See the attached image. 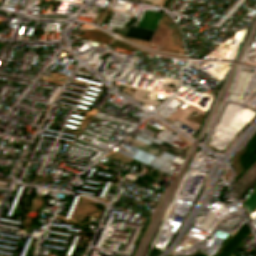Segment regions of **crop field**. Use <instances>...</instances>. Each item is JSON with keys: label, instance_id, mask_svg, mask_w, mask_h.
Masks as SVG:
<instances>
[{"label": "crop field", "instance_id": "4", "mask_svg": "<svg viewBox=\"0 0 256 256\" xmlns=\"http://www.w3.org/2000/svg\"><path fill=\"white\" fill-rule=\"evenodd\" d=\"M254 211H256V209H255ZM254 211H253V212H254Z\"/></svg>", "mask_w": 256, "mask_h": 256}, {"label": "crop field", "instance_id": "1", "mask_svg": "<svg viewBox=\"0 0 256 256\" xmlns=\"http://www.w3.org/2000/svg\"><path fill=\"white\" fill-rule=\"evenodd\" d=\"M256 181V162L255 164L240 178V180L233 186V191L238 200Z\"/></svg>", "mask_w": 256, "mask_h": 256}, {"label": "crop field", "instance_id": "2", "mask_svg": "<svg viewBox=\"0 0 256 256\" xmlns=\"http://www.w3.org/2000/svg\"><path fill=\"white\" fill-rule=\"evenodd\" d=\"M243 205L249 214L253 211L256 207V190L245 200Z\"/></svg>", "mask_w": 256, "mask_h": 256}, {"label": "crop field", "instance_id": "3", "mask_svg": "<svg viewBox=\"0 0 256 256\" xmlns=\"http://www.w3.org/2000/svg\"><path fill=\"white\" fill-rule=\"evenodd\" d=\"M149 1H152V2H154V3L157 4V2H158L159 0H149Z\"/></svg>", "mask_w": 256, "mask_h": 256}]
</instances>
